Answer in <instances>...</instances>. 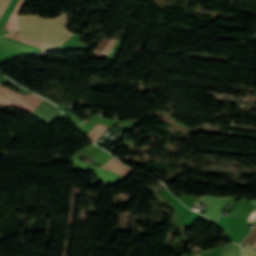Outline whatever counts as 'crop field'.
<instances>
[{"mask_svg":"<svg viewBox=\"0 0 256 256\" xmlns=\"http://www.w3.org/2000/svg\"><path fill=\"white\" fill-rule=\"evenodd\" d=\"M60 113L61 111L56 106L43 100L32 115L50 126Z\"/></svg>","mask_w":256,"mask_h":256,"instance_id":"obj_3","label":"crop field"},{"mask_svg":"<svg viewBox=\"0 0 256 256\" xmlns=\"http://www.w3.org/2000/svg\"><path fill=\"white\" fill-rule=\"evenodd\" d=\"M25 0H20L19 3L17 4L15 10L13 11V13L11 14L5 29H8L10 31H17V13L19 12V10L22 8V6L24 5Z\"/></svg>","mask_w":256,"mask_h":256,"instance_id":"obj_6","label":"crop field"},{"mask_svg":"<svg viewBox=\"0 0 256 256\" xmlns=\"http://www.w3.org/2000/svg\"><path fill=\"white\" fill-rule=\"evenodd\" d=\"M230 199L231 197L217 198L205 195L202 203L211 205L205 216L209 217L216 223L219 215L221 214L222 210L224 209V207L226 206Z\"/></svg>","mask_w":256,"mask_h":256,"instance_id":"obj_4","label":"crop field"},{"mask_svg":"<svg viewBox=\"0 0 256 256\" xmlns=\"http://www.w3.org/2000/svg\"><path fill=\"white\" fill-rule=\"evenodd\" d=\"M109 53H104L102 52L101 56L99 57V59H104V58H107Z\"/></svg>","mask_w":256,"mask_h":256,"instance_id":"obj_16","label":"crop field"},{"mask_svg":"<svg viewBox=\"0 0 256 256\" xmlns=\"http://www.w3.org/2000/svg\"><path fill=\"white\" fill-rule=\"evenodd\" d=\"M242 256H256V250L245 248L242 246Z\"/></svg>","mask_w":256,"mask_h":256,"instance_id":"obj_13","label":"crop field"},{"mask_svg":"<svg viewBox=\"0 0 256 256\" xmlns=\"http://www.w3.org/2000/svg\"><path fill=\"white\" fill-rule=\"evenodd\" d=\"M18 0H11L10 4L8 5L5 13L3 14L2 18L0 19V27L4 28L10 14L12 13L14 7L16 6Z\"/></svg>","mask_w":256,"mask_h":256,"instance_id":"obj_9","label":"crop field"},{"mask_svg":"<svg viewBox=\"0 0 256 256\" xmlns=\"http://www.w3.org/2000/svg\"><path fill=\"white\" fill-rule=\"evenodd\" d=\"M113 42V40H110V42L107 44L106 48L104 49V51H107V49L109 48V46L111 45V43ZM116 40H114V42L112 43V45L110 46V48L108 49V51H111L113 45L115 44Z\"/></svg>","mask_w":256,"mask_h":256,"instance_id":"obj_15","label":"crop field"},{"mask_svg":"<svg viewBox=\"0 0 256 256\" xmlns=\"http://www.w3.org/2000/svg\"><path fill=\"white\" fill-rule=\"evenodd\" d=\"M19 34L32 40L47 44L42 52L55 51L73 33L69 32L67 15L53 20L34 16L18 17Z\"/></svg>","mask_w":256,"mask_h":256,"instance_id":"obj_1","label":"crop field"},{"mask_svg":"<svg viewBox=\"0 0 256 256\" xmlns=\"http://www.w3.org/2000/svg\"><path fill=\"white\" fill-rule=\"evenodd\" d=\"M242 244L249 245L256 247V226L255 228L250 232V234L244 239Z\"/></svg>","mask_w":256,"mask_h":256,"instance_id":"obj_11","label":"crop field"},{"mask_svg":"<svg viewBox=\"0 0 256 256\" xmlns=\"http://www.w3.org/2000/svg\"><path fill=\"white\" fill-rule=\"evenodd\" d=\"M5 36L17 39V40L22 41L24 43H27V44H30V45H33V46H37V47H40V48H42L44 46V44H41V43H38V42H35V41H32V40H29L27 38L18 36V35L13 34V33H10V34L5 35Z\"/></svg>","mask_w":256,"mask_h":256,"instance_id":"obj_10","label":"crop field"},{"mask_svg":"<svg viewBox=\"0 0 256 256\" xmlns=\"http://www.w3.org/2000/svg\"><path fill=\"white\" fill-rule=\"evenodd\" d=\"M103 168L126 177L133 171L113 157L103 166Z\"/></svg>","mask_w":256,"mask_h":256,"instance_id":"obj_5","label":"crop field"},{"mask_svg":"<svg viewBox=\"0 0 256 256\" xmlns=\"http://www.w3.org/2000/svg\"><path fill=\"white\" fill-rule=\"evenodd\" d=\"M107 126L99 125L97 124L88 134L94 142L98 140V138L101 136V134L107 129Z\"/></svg>","mask_w":256,"mask_h":256,"instance_id":"obj_8","label":"crop field"},{"mask_svg":"<svg viewBox=\"0 0 256 256\" xmlns=\"http://www.w3.org/2000/svg\"><path fill=\"white\" fill-rule=\"evenodd\" d=\"M10 0H0V18L4 13L7 5L9 4Z\"/></svg>","mask_w":256,"mask_h":256,"instance_id":"obj_14","label":"crop field"},{"mask_svg":"<svg viewBox=\"0 0 256 256\" xmlns=\"http://www.w3.org/2000/svg\"><path fill=\"white\" fill-rule=\"evenodd\" d=\"M223 256H240V248L234 243L222 246Z\"/></svg>","mask_w":256,"mask_h":256,"instance_id":"obj_7","label":"crop field"},{"mask_svg":"<svg viewBox=\"0 0 256 256\" xmlns=\"http://www.w3.org/2000/svg\"><path fill=\"white\" fill-rule=\"evenodd\" d=\"M203 218L204 220L208 221L209 223H212L210 222L209 220H207L206 218H204L203 216L197 214V213H193L191 215V217L186 221L184 222V225H185V229H187L188 227H190L196 220H198L199 218Z\"/></svg>","mask_w":256,"mask_h":256,"instance_id":"obj_12","label":"crop field"},{"mask_svg":"<svg viewBox=\"0 0 256 256\" xmlns=\"http://www.w3.org/2000/svg\"><path fill=\"white\" fill-rule=\"evenodd\" d=\"M42 100L35 95L22 96L0 85V102L12 108H22L32 113Z\"/></svg>","mask_w":256,"mask_h":256,"instance_id":"obj_2","label":"crop field"}]
</instances>
